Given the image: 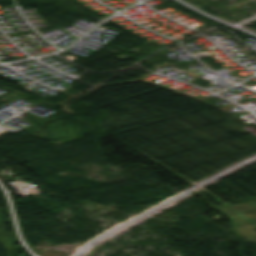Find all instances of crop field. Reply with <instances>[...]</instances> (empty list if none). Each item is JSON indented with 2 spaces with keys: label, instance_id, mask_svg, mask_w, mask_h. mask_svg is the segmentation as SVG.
<instances>
[{
  "label": "crop field",
  "instance_id": "8a807250",
  "mask_svg": "<svg viewBox=\"0 0 256 256\" xmlns=\"http://www.w3.org/2000/svg\"><path fill=\"white\" fill-rule=\"evenodd\" d=\"M219 210L229 217L236 218L235 225L240 236L256 242V200L252 199Z\"/></svg>",
  "mask_w": 256,
  "mask_h": 256
}]
</instances>
